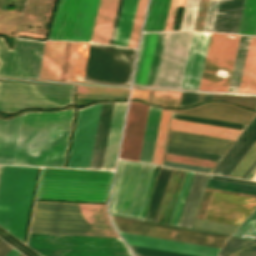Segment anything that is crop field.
I'll return each instance as SVG.
<instances>
[{
  "label": "crop field",
  "mask_w": 256,
  "mask_h": 256,
  "mask_svg": "<svg viewBox=\"0 0 256 256\" xmlns=\"http://www.w3.org/2000/svg\"><path fill=\"white\" fill-rule=\"evenodd\" d=\"M163 166L209 173L212 169L164 161Z\"/></svg>",
  "instance_id": "53"
},
{
  "label": "crop field",
  "mask_w": 256,
  "mask_h": 256,
  "mask_svg": "<svg viewBox=\"0 0 256 256\" xmlns=\"http://www.w3.org/2000/svg\"><path fill=\"white\" fill-rule=\"evenodd\" d=\"M165 152L186 155V156H192V157H198V158H204V159H210V160H216V161H219L220 158L222 157L221 155L197 152V151L168 147V146H166Z\"/></svg>",
  "instance_id": "50"
},
{
  "label": "crop field",
  "mask_w": 256,
  "mask_h": 256,
  "mask_svg": "<svg viewBox=\"0 0 256 256\" xmlns=\"http://www.w3.org/2000/svg\"><path fill=\"white\" fill-rule=\"evenodd\" d=\"M13 248L0 240V256H6Z\"/></svg>",
  "instance_id": "60"
},
{
  "label": "crop field",
  "mask_w": 256,
  "mask_h": 256,
  "mask_svg": "<svg viewBox=\"0 0 256 256\" xmlns=\"http://www.w3.org/2000/svg\"><path fill=\"white\" fill-rule=\"evenodd\" d=\"M117 231L222 248L228 237L113 218Z\"/></svg>",
  "instance_id": "12"
},
{
  "label": "crop field",
  "mask_w": 256,
  "mask_h": 256,
  "mask_svg": "<svg viewBox=\"0 0 256 256\" xmlns=\"http://www.w3.org/2000/svg\"><path fill=\"white\" fill-rule=\"evenodd\" d=\"M212 97H213V95L205 94L203 102L212 100Z\"/></svg>",
  "instance_id": "62"
},
{
  "label": "crop field",
  "mask_w": 256,
  "mask_h": 256,
  "mask_svg": "<svg viewBox=\"0 0 256 256\" xmlns=\"http://www.w3.org/2000/svg\"><path fill=\"white\" fill-rule=\"evenodd\" d=\"M198 96L199 94L182 93L180 106L197 102Z\"/></svg>",
  "instance_id": "55"
},
{
  "label": "crop field",
  "mask_w": 256,
  "mask_h": 256,
  "mask_svg": "<svg viewBox=\"0 0 256 256\" xmlns=\"http://www.w3.org/2000/svg\"><path fill=\"white\" fill-rule=\"evenodd\" d=\"M168 32L144 33L134 84L155 87Z\"/></svg>",
  "instance_id": "15"
},
{
  "label": "crop field",
  "mask_w": 256,
  "mask_h": 256,
  "mask_svg": "<svg viewBox=\"0 0 256 256\" xmlns=\"http://www.w3.org/2000/svg\"><path fill=\"white\" fill-rule=\"evenodd\" d=\"M209 176L208 174L194 173L177 226L193 227Z\"/></svg>",
  "instance_id": "22"
},
{
  "label": "crop field",
  "mask_w": 256,
  "mask_h": 256,
  "mask_svg": "<svg viewBox=\"0 0 256 256\" xmlns=\"http://www.w3.org/2000/svg\"><path fill=\"white\" fill-rule=\"evenodd\" d=\"M66 42H45L39 79L59 80Z\"/></svg>",
  "instance_id": "28"
},
{
  "label": "crop field",
  "mask_w": 256,
  "mask_h": 256,
  "mask_svg": "<svg viewBox=\"0 0 256 256\" xmlns=\"http://www.w3.org/2000/svg\"><path fill=\"white\" fill-rule=\"evenodd\" d=\"M156 166L120 160L110 213L144 220Z\"/></svg>",
  "instance_id": "5"
},
{
  "label": "crop field",
  "mask_w": 256,
  "mask_h": 256,
  "mask_svg": "<svg viewBox=\"0 0 256 256\" xmlns=\"http://www.w3.org/2000/svg\"><path fill=\"white\" fill-rule=\"evenodd\" d=\"M73 111L25 113L14 164L63 167Z\"/></svg>",
  "instance_id": "1"
},
{
  "label": "crop field",
  "mask_w": 256,
  "mask_h": 256,
  "mask_svg": "<svg viewBox=\"0 0 256 256\" xmlns=\"http://www.w3.org/2000/svg\"><path fill=\"white\" fill-rule=\"evenodd\" d=\"M244 238L254 239L256 237V223L243 236Z\"/></svg>",
  "instance_id": "61"
},
{
  "label": "crop field",
  "mask_w": 256,
  "mask_h": 256,
  "mask_svg": "<svg viewBox=\"0 0 256 256\" xmlns=\"http://www.w3.org/2000/svg\"><path fill=\"white\" fill-rule=\"evenodd\" d=\"M121 236L126 240L128 244L156 248V249H163L181 253H188L200 256H217L220 249L176 242V241H169L127 233H121ZM183 248V249H181Z\"/></svg>",
  "instance_id": "20"
},
{
  "label": "crop field",
  "mask_w": 256,
  "mask_h": 256,
  "mask_svg": "<svg viewBox=\"0 0 256 256\" xmlns=\"http://www.w3.org/2000/svg\"><path fill=\"white\" fill-rule=\"evenodd\" d=\"M193 173L194 172H190V171L186 172V175H185V178H184V181H183V184H182V187H181V190H180L170 223H169L171 225H175V226L177 225V222H178V219H179V216H180V213H181L184 201H185V197H186Z\"/></svg>",
  "instance_id": "45"
},
{
  "label": "crop field",
  "mask_w": 256,
  "mask_h": 256,
  "mask_svg": "<svg viewBox=\"0 0 256 256\" xmlns=\"http://www.w3.org/2000/svg\"><path fill=\"white\" fill-rule=\"evenodd\" d=\"M27 243L47 255L132 256L121 238L29 233Z\"/></svg>",
  "instance_id": "6"
},
{
  "label": "crop field",
  "mask_w": 256,
  "mask_h": 256,
  "mask_svg": "<svg viewBox=\"0 0 256 256\" xmlns=\"http://www.w3.org/2000/svg\"><path fill=\"white\" fill-rule=\"evenodd\" d=\"M192 33L169 32L156 87L180 88Z\"/></svg>",
  "instance_id": "13"
},
{
  "label": "crop field",
  "mask_w": 256,
  "mask_h": 256,
  "mask_svg": "<svg viewBox=\"0 0 256 256\" xmlns=\"http://www.w3.org/2000/svg\"><path fill=\"white\" fill-rule=\"evenodd\" d=\"M138 0H124L113 45L127 47Z\"/></svg>",
  "instance_id": "33"
},
{
  "label": "crop field",
  "mask_w": 256,
  "mask_h": 256,
  "mask_svg": "<svg viewBox=\"0 0 256 256\" xmlns=\"http://www.w3.org/2000/svg\"><path fill=\"white\" fill-rule=\"evenodd\" d=\"M200 0H187L180 30H193Z\"/></svg>",
  "instance_id": "46"
},
{
  "label": "crop field",
  "mask_w": 256,
  "mask_h": 256,
  "mask_svg": "<svg viewBox=\"0 0 256 256\" xmlns=\"http://www.w3.org/2000/svg\"><path fill=\"white\" fill-rule=\"evenodd\" d=\"M122 1L123 0H119L118 9H117V13H116L115 21H114V26H113V30H112V34H111V38H110V42H109V44H111V45L113 43V39H114L116 27H117V22H118L120 10H121Z\"/></svg>",
  "instance_id": "59"
},
{
  "label": "crop field",
  "mask_w": 256,
  "mask_h": 256,
  "mask_svg": "<svg viewBox=\"0 0 256 256\" xmlns=\"http://www.w3.org/2000/svg\"><path fill=\"white\" fill-rule=\"evenodd\" d=\"M19 254L20 253L13 249L7 256H18Z\"/></svg>",
  "instance_id": "63"
},
{
  "label": "crop field",
  "mask_w": 256,
  "mask_h": 256,
  "mask_svg": "<svg viewBox=\"0 0 256 256\" xmlns=\"http://www.w3.org/2000/svg\"><path fill=\"white\" fill-rule=\"evenodd\" d=\"M149 106L131 102L120 158L138 161Z\"/></svg>",
  "instance_id": "17"
},
{
  "label": "crop field",
  "mask_w": 256,
  "mask_h": 256,
  "mask_svg": "<svg viewBox=\"0 0 256 256\" xmlns=\"http://www.w3.org/2000/svg\"><path fill=\"white\" fill-rule=\"evenodd\" d=\"M128 92L127 89L79 87L77 97L125 100Z\"/></svg>",
  "instance_id": "38"
},
{
  "label": "crop field",
  "mask_w": 256,
  "mask_h": 256,
  "mask_svg": "<svg viewBox=\"0 0 256 256\" xmlns=\"http://www.w3.org/2000/svg\"><path fill=\"white\" fill-rule=\"evenodd\" d=\"M1 168H2V166H0V173H1Z\"/></svg>",
  "instance_id": "67"
},
{
  "label": "crop field",
  "mask_w": 256,
  "mask_h": 256,
  "mask_svg": "<svg viewBox=\"0 0 256 256\" xmlns=\"http://www.w3.org/2000/svg\"><path fill=\"white\" fill-rule=\"evenodd\" d=\"M173 112L245 125H248L255 115V112L220 103H208L193 109Z\"/></svg>",
  "instance_id": "21"
},
{
  "label": "crop field",
  "mask_w": 256,
  "mask_h": 256,
  "mask_svg": "<svg viewBox=\"0 0 256 256\" xmlns=\"http://www.w3.org/2000/svg\"><path fill=\"white\" fill-rule=\"evenodd\" d=\"M169 129L226 138V139H232V140H236L237 137L242 132L240 130H234V129L174 120V119H171Z\"/></svg>",
  "instance_id": "30"
},
{
  "label": "crop field",
  "mask_w": 256,
  "mask_h": 256,
  "mask_svg": "<svg viewBox=\"0 0 256 256\" xmlns=\"http://www.w3.org/2000/svg\"><path fill=\"white\" fill-rule=\"evenodd\" d=\"M208 188L256 195V186L232 183V182H225L219 180L210 179L207 185Z\"/></svg>",
  "instance_id": "43"
},
{
  "label": "crop field",
  "mask_w": 256,
  "mask_h": 256,
  "mask_svg": "<svg viewBox=\"0 0 256 256\" xmlns=\"http://www.w3.org/2000/svg\"><path fill=\"white\" fill-rule=\"evenodd\" d=\"M36 173V168L11 166H3L2 168L0 178V226L22 242Z\"/></svg>",
  "instance_id": "4"
},
{
  "label": "crop field",
  "mask_w": 256,
  "mask_h": 256,
  "mask_svg": "<svg viewBox=\"0 0 256 256\" xmlns=\"http://www.w3.org/2000/svg\"><path fill=\"white\" fill-rule=\"evenodd\" d=\"M99 0H60L49 39L89 42Z\"/></svg>",
  "instance_id": "9"
},
{
  "label": "crop field",
  "mask_w": 256,
  "mask_h": 256,
  "mask_svg": "<svg viewBox=\"0 0 256 256\" xmlns=\"http://www.w3.org/2000/svg\"><path fill=\"white\" fill-rule=\"evenodd\" d=\"M210 35L194 31L181 88L198 89Z\"/></svg>",
  "instance_id": "18"
},
{
  "label": "crop field",
  "mask_w": 256,
  "mask_h": 256,
  "mask_svg": "<svg viewBox=\"0 0 256 256\" xmlns=\"http://www.w3.org/2000/svg\"><path fill=\"white\" fill-rule=\"evenodd\" d=\"M136 256H149V255H143V254H137L135 253Z\"/></svg>",
  "instance_id": "65"
},
{
  "label": "crop field",
  "mask_w": 256,
  "mask_h": 256,
  "mask_svg": "<svg viewBox=\"0 0 256 256\" xmlns=\"http://www.w3.org/2000/svg\"><path fill=\"white\" fill-rule=\"evenodd\" d=\"M170 110H162L152 164L161 165L165 146Z\"/></svg>",
  "instance_id": "41"
},
{
  "label": "crop field",
  "mask_w": 256,
  "mask_h": 256,
  "mask_svg": "<svg viewBox=\"0 0 256 256\" xmlns=\"http://www.w3.org/2000/svg\"><path fill=\"white\" fill-rule=\"evenodd\" d=\"M44 42L16 41L15 52L10 50L4 38L0 37V77L38 79Z\"/></svg>",
  "instance_id": "11"
},
{
  "label": "crop field",
  "mask_w": 256,
  "mask_h": 256,
  "mask_svg": "<svg viewBox=\"0 0 256 256\" xmlns=\"http://www.w3.org/2000/svg\"><path fill=\"white\" fill-rule=\"evenodd\" d=\"M134 49L90 43L84 82L129 83Z\"/></svg>",
  "instance_id": "8"
},
{
  "label": "crop field",
  "mask_w": 256,
  "mask_h": 256,
  "mask_svg": "<svg viewBox=\"0 0 256 256\" xmlns=\"http://www.w3.org/2000/svg\"><path fill=\"white\" fill-rule=\"evenodd\" d=\"M74 87L0 82V110L56 109L73 104Z\"/></svg>",
  "instance_id": "7"
},
{
  "label": "crop field",
  "mask_w": 256,
  "mask_h": 256,
  "mask_svg": "<svg viewBox=\"0 0 256 256\" xmlns=\"http://www.w3.org/2000/svg\"><path fill=\"white\" fill-rule=\"evenodd\" d=\"M114 103L101 106L89 169H101Z\"/></svg>",
  "instance_id": "26"
},
{
  "label": "crop field",
  "mask_w": 256,
  "mask_h": 256,
  "mask_svg": "<svg viewBox=\"0 0 256 256\" xmlns=\"http://www.w3.org/2000/svg\"><path fill=\"white\" fill-rule=\"evenodd\" d=\"M112 175L111 172L44 168L36 198L106 202Z\"/></svg>",
  "instance_id": "3"
},
{
  "label": "crop field",
  "mask_w": 256,
  "mask_h": 256,
  "mask_svg": "<svg viewBox=\"0 0 256 256\" xmlns=\"http://www.w3.org/2000/svg\"><path fill=\"white\" fill-rule=\"evenodd\" d=\"M220 256H256V241L230 237Z\"/></svg>",
  "instance_id": "37"
},
{
  "label": "crop field",
  "mask_w": 256,
  "mask_h": 256,
  "mask_svg": "<svg viewBox=\"0 0 256 256\" xmlns=\"http://www.w3.org/2000/svg\"><path fill=\"white\" fill-rule=\"evenodd\" d=\"M256 207V200L212 193L204 218L239 225Z\"/></svg>",
  "instance_id": "16"
},
{
  "label": "crop field",
  "mask_w": 256,
  "mask_h": 256,
  "mask_svg": "<svg viewBox=\"0 0 256 256\" xmlns=\"http://www.w3.org/2000/svg\"><path fill=\"white\" fill-rule=\"evenodd\" d=\"M237 34L256 35V0H245Z\"/></svg>",
  "instance_id": "39"
},
{
  "label": "crop field",
  "mask_w": 256,
  "mask_h": 256,
  "mask_svg": "<svg viewBox=\"0 0 256 256\" xmlns=\"http://www.w3.org/2000/svg\"><path fill=\"white\" fill-rule=\"evenodd\" d=\"M148 91L133 90L131 99H139L146 102Z\"/></svg>",
  "instance_id": "57"
},
{
  "label": "crop field",
  "mask_w": 256,
  "mask_h": 256,
  "mask_svg": "<svg viewBox=\"0 0 256 256\" xmlns=\"http://www.w3.org/2000/svg\"><path fill=\"white\" fill-rule=\"evenodd\" d=\"M171 170L172 169L170 168H164V167L161 168L158 180L156 182V185L152 194L146 221H150V222L155 221Z\"/></svg>",
  "instance_id": "36"
},
{
  "label": "crop field",
  "mask_w": 256,
  "mask_h": 256,
  "mask_svg": "<svg viewBox=\"0 0 256 256\" xmlns=\"http://www.w3.org/2000/svg\"><path fill=\"white\" fill-rule=\"evenodd\" d=\"M170 0H151L145 31H163ZM185 0H171L164 31L171 30L176 6H184Z\"/></svg>",
  "instance_id": "23"
},
{
  "label": "crop field",
  "mask_w": 256,
  "mask_h": 256,
  "mask_svg": "<svg viewBox=\"0 0 256 256\" xmlns=\"http://www.w3.org/2000/svg\"><path fill=\"white\" fill-rule=\"evenodd\" d=\"M19 256H22L21 254Z\"/></svg>",
  "instance_id": "69"
},
{
  "label": "crop field",
  "mask_w": 256,
  "mask_h": 256,
  "mask_svg": "<svg viewBox=\"0 0 256 256\" xmlns=\"http://www.w3.org/2000/svg\"><path fill=\"white\" fill-rule=\"evenodd\" d=\"M22 117L10 121L0 120V163L14 162Z\"/></svg>",
  "instance_id": "25"
},
{
  "label": "crop field",
  "mask_w": 256,
  "mask_h": 256,
  "mask_svg": "<svg viewBox=\"0 0 256 256\" xmlns=\"http://www.w3.org/2000/svg\"><path fill=\"white\" fill-rule=\"evenodd\" d=\"M256 172V167L254 168V170L251 172V174L248 176V180L251 179V177L254 175V173Z\"/></svg>",
  "instance_id": "64"
},
{
  "label": "crop field",
  "mask_w": 256,
  "mask_h": 256,
  "mask_svg": "<svg viewBox=\"0 0 256 256\" xmlns=\"http://www.w3.org/2000/svg\"><path fill=\"white\" fill-rule=\"evenodd\" d=\"M42 256H47V255H42Z\"/></svg>",
  "instance_id": "68"
},
{
  "label": "crop field",
  "mask_w": 256,
  "mask_h": 256,
  "mask_svg": "<svg viewBox=\"0 0 256 256\" xmlns=\"http://www.w3.org/2000/svg\"><path fill=\"white\" fill-rule=\"evenodd\" d=\"M219 0H210L203 31L212 32Z\"/></svg>",
  "instance_id": "51"
},
{
  "label": "crop field",
  "mask_w": 256,
  "mask_h": 256,
  "mask_svg": "<svg viewBox=\"0 0 256 256\" xmlns=\"http://www.w3.org/2000/svg\"><path fill=\"white\" fill-rule=\"evenodd\" d=\"M244 0H220L213 32H237Z\"/></svg>",
  "instance_id": "29"
},
{
  "label": "crop field",
  "mask_w": 256,
  "mask_h": 256,
  "mask_svg": "<svg viewBox=\"0 0 256 256\" xmlns=\"http://www.w3.org/2000/svg\"><path fill=\"white\" fill-rule=\"evenodd\" d=\"M29 232L119 237L105 205L35 201Z\"/></svg>",
  "instance_id": "2"
},
{
  "label": "crop field",
  "mask_w": 256,
  "mask_h": 256,
  "mask_svg": "<svg viewBox=\"0 0 256 256\" xmlns=\"http://www.w3.org/2000/svg\"><path fill=\"white\" fill-rule=\"evenodd\" d=\"M147 0H139L128 47H136Z\"/></svg>",
  "instance_id": "48"
},
{
  "label": "crop field",
  "mask_w": 256,
  "mask_h": 256,
  "mask_svg": "<svg viewBox=\"0 0 256 256\" xmlns=\"http://www.w3.org/2000/svg\"><path fill=\"white\" fill-rule=\"evenodd\" d=\"M127 104L115 103L102 169L114 168Z\"/></svg>",
  "instance_id": "24"
},
{
  "label": "crop field",
  "mask_w": 256,
  "mask_h": 256,
  "mask_svg": "<svg viewBox=\"0 0 256 256\" xmlns=\"http://www.w3.org/2000/svg\"><path fill=\"white\" fill-rule=\"evenodd\" d=\"M160 109L151 107L149 108L145 134L140 154L139 161L149 163L152 162V156L154 151V145L156 140V134L158 129V123L160 118Z\"/></svg>",
  "instance_id": "32"
},
{
  "label": "crop field",
  "mask_w": 256,
  "mask_h": 256,
  "mask_svg": "<svg viewBox=\"0 0 256 256\" xmlns=\"http://www.w3.org/2000/svg\"><path fill=\"white\" fill-rule=\"evenodd\" d=\"M118 0H100L90 42L108 44Z\"/></svg>",
  "instance_id": "27"
},
{
  "label": "crop field",
  "mask_w": 256,
  "mask_h": 256,
  "mask_svg": "<svg viewBox=\"0 0 256 256\" xmlns=\"http://www.w3.org/2000/svg\"><path fill=\"white\" fill-rule=\"evenodd\" d=\"M171 118L192 121V122H198V123H204V124H210V125H216V126H222V127H228V128H234V129H240V130H244L246 127L245 125L227 123V122H222V121L198 118V117L175 114V113L172 114Z\"/></svg>",
  "instance_id": "49"
},
{
  "label": "crop field",
  "mask_w": 256,
  "mask_h": 256,
  "mask_svg": "<svg viewBox=\"0 0 256 256\" xmlns=\"http://www.w3.org/2000/svg\"><path fill=\"white\" fill-rule=\"evenodd\" d=\"M238 92L256 93V37H251Z\"/></svg>",
  "instance_id": "34"
},
{
  "label": "crop field",
  "mask_w": 256,
  "mask_h": 256,
  "mask_svg": "<svg viewBox=\"0 0 256 256\" xmlns=\"http://www.w3.org/2000/svg\"><path fill=\"white\" fill-rule=\"evenodd\" d=\"M239 38L212 33L199 89L227 91Z\"/></svg>",
  "instance_id": "10"
},
{
  "label": "crop field",
  "mask_w": 256,
  "mask_h": 256,
  "mask_svg": "<svg viewBox=\"0 0 256 256\" xmlns=\"http://www.w3.org/2000/svg\"><path fill=\"white\" fill-rule=\"evenodd\" d=\"M256 123V116L251 121V123L247 126V128L243 131V133L239 136L237 139L238 141L236 144L231 148V150L227 153V155L222 159V161L218 164V166L213 170V174H216L217 171L220 169V167L224 164V162L228 159V157L231 155V153L235 150V148L238 146V144L242 141V139L246 136V134L249 132V130L253 127V125Z\"/></svg>",
  "instance_id": "52"
},
{
  "label": "crop field",
  "mask_w": 256,
  "mask_h": 256,
  "mask_svg": "<svg viewBox=\"0 0 256 256\" xmlns=\"http://www.w3.org/2000/svg\"><path fill=\"white\" fill-rule=\"evenodd\" d=\"M78 43L73 42L67 81H71Z\"/></svg>",
  "instance_id": "56"
},
{
  "label": "crop field",
  "mask_w": 256,
  "mask_h": 256,
  "mask_svg": "<svg viewBox=\"0 0 256 256\" xmlns=\"http://www.w3.org/2000/svg\"><path fill=\"white\" fill-rule=\"evenodd\" d=\"M181 93L155 91L153 105L178 108Z\"/></svg>",
  "instance_id": "47"
},
{
  "label": "crop field",
  "mask_w": 256,
  "mask_h": 256,
  "mask_svg": "<svg viewBox=\"0 0 256 256\" xmlns=\"http://www.w3.org/2000/svg\"><path fill=\"white\" fill-rule=\"evenodd\" d=\"M256 166V142L230 176L246 179Z\"/></svg>",
  "instance_id": "42"
},
{
  "label": "crop field",
  "mask_w": 256,
  "mask_h": 256,
  "mask_svg": "<svg viewBox=\"0 0 256 256\" xmlns=\"http://www.w3.org/2000/svg\"><path fill=\"white\" fill-rule=\"evenodd\" d=\"M255 222L256 210L249 216V218L238 228V230L233 235L242 237Z\"/></svg>",
  "instance_id": "54"
},
{
  "label": "crop field",
  "mask_w": 256,
  "mask_h": 256,
  "mask_svg": "<svg viewBox=\"0 0 256 256\" xmlns=\"http://www.w3.org/2000/svg\"><path fill=\"white\" fill-rule=\"evenodd\" d=\"M54 3L55 0H29L22 22L47 28Z\"/></svg>",
  "instance_id": "31"
},
{
  "label": "crop field",
  "mask_w": 256,
  "mask_h": 256,
  "mask_svg": "<svg viewBox=\"0 0 256 256\" xmlns=\"http://www.w3.org/2000/svg\"><path fill=\"white\" fill-rule=\"evenodd\" d=\"M100 106L79 109L68 167L88 169Z\"/></svg>",
  "instance_id": "14"
},
{
  "label": "crop field",
  "mask_w": 256,
  "mask_h": 256,
  "mask_svg": "<svg viewBox=\"0 0 256 256\" xmlns=\"http://www.w3.org/2000/svg\"><path fill=\"white\" fill-rule=\"evenodd\" d=\"M233 142L232 140L169 130L167 145L224 155Z\"/></svg>",
  "instance_id": "19"
},
{
  "label": "crop field",
  "mask_w": 256,
  "mask_h": 256,
  "mask_svg": "<svg viewBox=\"0 0 256 256\" xmlns=\"http://www.w3.org/2000/svg\"><path fill=\"white\" fill-rule=\"evenodd\" d=\"M250 37L241 36L228 91L237 92Z\"/></svg>",
  "instance_id": "40"
},
{
  "label": "crop field",
  "mask_w": 256,
  "mask_h": 256,
  "mask_svg": "<svg viewBox=\"0 0 256 256\" xmlns=\"http://www.w3.org/2000/svg\"><path fill=\"white\" fill-rule=\"evenodd\" d=\"M251 180L256 181V174L252 177Z\"/></svg>",
  "instance_id": "66"
},
{
  "label": "crop field",
  "mask_w": 256,
  "mask_h": 256,
  "mask_svg": "<svg viewBox=\"0 0 256 256\" xmlns=\"http://www.w3.org/2000/svg\"><path fill=\"white\" fill-rule=\"evenodd\" d=\"M89 43H79L72 81L83 82Z\"/></svg>",
  "instance_id": "44"
},
{
  "label": "crop field",
  "mask_w": 256,
  "mask_h": 256,
  "mask_svg": "<svg viewBox=\"0 0 256 256\" xmlns=\"http://www.w3.org/2000/svg\"><path fill=\"white\" fill-rule=\"evenodd\" d=\"M210 178L219 179V180H225V181L238 182V183H244V184H250V185H256V182H252V181L239 180V179H233V178H226V177H220V176H214V175H211Z\"/></svg>",
  "instance_id": "58"
},
{
  "label": "crop field",
  "mask_w": 256,
  "mask_h": 256,
  "mask_svg": "<svg viewBox=\"0 0 256 256\" xmlns=\"http://www.w3.org/2000/svg\"><path fill=\"white\" fill-rule=\"evenodd\" d=\"M256 141V124L247 134V136L243 139L240 145L236 148V150L232 153L229 159L225 162V164L221 167L217 174L229 176L233 169L237 166L240 160L244 157L250 147Z\"/></svg>",
  "instance_id": "35"
}]
</instances>
